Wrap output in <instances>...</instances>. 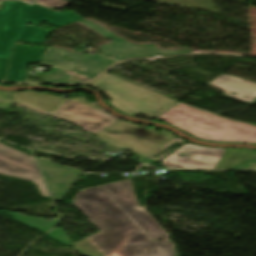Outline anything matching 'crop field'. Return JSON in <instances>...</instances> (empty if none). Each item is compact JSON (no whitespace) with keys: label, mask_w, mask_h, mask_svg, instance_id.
Masks as SVG:
<instances>
[{"label":"crop field","mask_w":256,"mask_h":256,"mask_svg":"<svg viewBox=\"0 0 256 256\" xmlns=\"http://www.w3.org/2000/svg\"><path fill=\"white\" fill-rule=\"evenodd\" d=\"M72 202L101 230L74 244L86 256H116L123 238L142 228L153 240L169 237L139 207L129 180L84 190Z\"/></svg>","instance_id":"1"},{"label":"crop field","mask_w":256,"mask_h":256,"mask_svg":"<svg viewBox=\"0 0 256 256\" xmlns=\"http://www.w3.org/2000/svg\"><path fill=\"white\" fill-rule=\"evenodd\" d=\"M81 19L72 12L60 13L23 2L4 1L3 11H0V57H10L14 41L44 43L50 30L36 27L42 21L58 28ZM27 22L33 24L32 27L27 26Z\"/></svg>","instance_id":"2"},{"label":"crop field","mask_w":256,"mask_h":256,"mask_svg":"<svg viewBox=\"0 0 256 256\" xmlns=\"http://www.w3.org/2000/svg\"><path fill=\"white\" fill-rule=\"evenodd\" d=\"M159 119L208 141L256 143V127L178 104Z\"/></svg>","instance_id":"3"},{"label":"crop field","mask_w":256,"mask_h":256,"mask_svg":"<svg viewBox=\"0 0 256 256\" xmlns=\"http://www.w3.org/2000/svg\"><path fill=\"white\" fill-rule=\"evenodd\" d=\"M88 85L109 96L114 108L132 116L142 113L155 118L178 102L106 73Z\"/></svg>","instance_id":"4"},{"label":"crop field","mask_w":256,"mask_h":256,"mask_svg":"<svg viewBox=\"0 0 256 256\" xmlns=\"http://www.w3.org/2000/svg\"><path fill=\"white\" fill-rule=\"evenodd\" d=\"M95 135L101 138L102 143L137 153L136 157L142 158L138 162L146 164L152 162V160L146 159L147 156L174 137L172 133L167 131L159 132L153 129H144L137 124L122 120Z\"/></svg>","instance_id":"5"},{"label":"crop field","mask_w":256,"mask_h":256,"mask_svg":"<svg viewBox=\"0 0 256 256\" xmlns=\"http://www.w3.org/2000/svg\"><path fill=\"white\" fill-rule=\"evenodd\" d=\"M53 116L71 120L73 124L93 134L116 122L113 117L102 112L95 103L87 102L83 95L70 96L65 104L53 113Z\"/></svg>","instance_id":"6"},{"label":"crop field","mask_w":256,"mask_h":256,"mask_svg":"<svg viewBox=\"0 0 256 256\" xmlns=\"http://www.w3.org/2000/svg\"><path fill=\"white\" fill-rule=\"evenodd\" d=\"M103 59L102 56L95 55L87 58L68 50L47 47L40 63L48 67L58 66L92 79L114 62Z\"/></svg>","instance_id":"7"},{"label":"crop field","mask_w":256,"mask_h":256,"mask_svg":"<svg viewBox=\"0 0 256 256\" xmlns=\"http://www.w3.org/2000/svg\"><path fill=\"white\" fill-rule=\"evenodd\" d=\"M79 23L102 34L106 38L113 39L112 43L99 46L98 48L102 55H108L117 61L132 57H162L192 52V50L161 51L157 50L155 45H133L91 21L81 20Z\"/></svg>","instance_id":"8"},{"label":"crop field","mask_w":256,"mask_h":256,"mask_svg":"<svg viewBox=\"0 0 256 256\" xmlns=\"http://www.w3.org/2000/svg\"><path fill=\"white\" fill-rule=\"evenodd\" d=\"M226 149L187 143L161 162L165 167L216 169Z\"/></svg>","instance_id":"9"},{"label":"crop field","mask_w":256,"mask_h":256,"mask_svg":"<svg viewBox=\"0 0 256 256\" xmlns=\"http://www.w3.org/2000/svg\"><path fill=\"white\" fill-rule=\"evenodd\" d=\"M0 174L32 180L42 195L49 197L34 159L3 145H0Z\"/></svg>","instance_id":"10"},{"label":"crop field","mask_w":256,"mask_h":256,"mask_svg":"<svg viewBox=\"0 0 256 256\" xmlns=\"http://www.w3.org/2000/svg\"><path fill=\"white\" fill-rule=\"evenodd\" d=\"M117 256H174L170 239L152 242L140 230L124 238Z\"/></svg>","instance_id":"11"},{"label":"crop field","mask_w":256,"mask_h":256,"mask_svg":"<svg viewBox=\"0 0 256 256\" xmlns=\"http://www.w3.org/2000/svg\"><path fill=\"white\" fill-rule=\"evenodd\" d=\"M37 161L49 189L57 191L52 194L55 200H59L82 173L79 170L51 163V159L39 157Z\"/></svg>","instance_id":"12"},{"label":"crop field","mask_w":256,"mask_h":256,"mask_svg":"<svg viewBox=\"0 0 256 256\" xmlns=\"http://www.w3.org/2000/svg\"><path fill=\"white\" fill-rule=\"evenodd\" d=\"M44 50L14 45L5 81L23 82L28 63H39Z\"/></svg>","instance_id":"13"},{"label":"crop field","mask_w":256,"mask_h":256,"mask_svg":"<svg viewBox=\"0 0 256 256\" xmlns=\"http://www.w3.org/2000/svg\"><path fill=\"white\" fill-rule=\"evenodd\" d=\"M208 84L222 90L225 96L245 102L252 103L253 98L256 96V83L237 77L221 74L216 80ZM231 92H236V95H231ZM242 96L248 98L246 99Z\"/></svg>","instance_id":"14"},{"label":"crop field","mask_w":256,"mask_h":256,"mask_svg":"<svg viewBox=\"0 0 256 256\" xmlns=\"http://www.w3.org/2000/svg\"><path fill=\"white\" fill-rule=\"evenodd\" d=\"M12 97L13 100L20 101L48 113L53 112L63 102V99L56 96L32 91L14 92L12 93Z\"/></svg>","instance_id":"15"},{"label":"crop field","mask_w":256,"mask_h":256,"mask_svg":"<svg viewBox=\"0 0 256 256\" xmlns=\"http://www.w3.org/2000/svg\"><path fill=\"white\" fill-rule=\"evenodd\" d=\"M240 164H256V150L228 149L217 169H237Z\"/></svg>","instance_id":"16"},{"label":"crop field","mask_w":256,"mask_h":256,"mask_svg":"<svg viewBox=\"0 0 256 256\" xmlns=\"http://www.w3.org/2000/svg\"><path fill=\"white\" fill-rule=\"evenodd\" d=\"M2 212L13 217L14 220H16L30 228L37 229L43 233L50 230L58 222L57 218H53L49 222L43 218H32V217H28V216H23L21 214L10 213V212H5V211H2Z\"/></svg>","instance_id":"17"},{"label":"crop field","mask_w":256,"mask_h":256,"mask_svg":"<svg viewBox=\"0 0 256 256\" xmlns=\"http://www.w3.org/2000/svg\"><path fill=\"white\" fill-rule=\"evenodd\" d=\"M183 142H185V141H183L181 138L174 137L166 145H164L162 148H160L159 150H157L155 153H153L152 155H150L147 158L159 161L165 155H167L170 151H172L174 148H176L177 146H179Z\"/></svg>","instance_id":"18"},{"label":"crop field","mask_w":256,"mask_h":256,"mask_svg":"<svg viewBox=\"0 0 256 256\" xmlns=\"http://www.w3.org/2000/svg\"><path fill=\"white\" fill-rule=\"evenodd\" d=\"M71 75L67 74L64 70L54 67L46 82H58V83H80V82H69Z\"/></svg>","instance_id":"19"},{"label":"crop field","mask_w":256,"mask_h":256,"mask_svg":"<svg viewBox=\"0 0 256 256\" xmlns=\"http://www.w3.org/2000/svg\"><path fill=\"white\" fill-rule=\"evenodd\" d=\"M46 236L61 244L71 246L69 238L64 234V232L60 228H55Z\"/></svg>","instance_id":"20"},{"label":"crop field","mask_w":256,"mask_h":256,"mask_svg":"<svg viewBox=\"0 0 256 256\" xmlns=\"http://www.w3.org/2000/svg\"><path fill=\"white\" fill-rule=\"evenodd\" d=\"M37 4L45 6L47 8L55 7L62 9L65 7L69 2L63 1V0H35Z\"/></svg>","instance_id":"21"},{"label":"crop field","mask_w":256,"mask_h":256,"mask_svg":"<svg viewBox=\"0 0 256 256\" xmlns=\"http://www.w3.org/2000/svg\"><path fill=\"white\" fill-rule=\"evenodd\" d=\"M9 59L0 58V81H4Z\"/></svg>","instance_id":"22"},{"label":"crop field","mask_w":256,"mask_h":256,"mask_svg":"<svg viewBox=\"0 0 256 256\" xmlns=\"http://www.w3.org/2000/svg\"><path fill=\"white\" fill-rule=\"evenodd\" d=\"M12 102H2L0 103V109H10Z\"/></svg>","instance_id":"23"},{"label":"crop field","mask_w":256,"mask_h":256,"mask_svg":"<svg viewBox=\"0 0 256 256\" xmlns=\"http://www.w3.org/2000/svg\"><path fill=\"white\" fill-rule=\"evenodd\" d=\"M256 101V100H255ZM256 103V102H255Z\"/></svg>","instance_id":"24"}]
</instances>
